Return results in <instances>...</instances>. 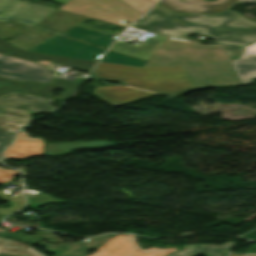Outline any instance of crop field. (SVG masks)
Masks as SVG:
<instances>
[{
    "instance_id": "crop-field-4",
    "label": "crop field",
    "mask_w": 256,
    "mask_h": 256,
    "mask_svg": "<svg viewBox=\"0 0 256 256\" xmlns=\"http://www.w3.org/2000/svg\"><path fill=\"white\" fill-rule=\"evenodd\" d=\"M59 9L122 26L142 16L118 0H72Z\"/></svg>"
},
{
    "instance_id": "crop-field-6",
    "label": "crop field",
    "mask_w": 256,
    "mask_h": 256,
    "mask_svg": "<svg viewBox=\"0 0 256 256\" xmlns=\"http://www.w3.org/2000/svg\"><path fill=\"white\" fill-rule=\"evenodd\" d=\"M0 77L43 83L53 80L46 66L6 55H0Z\"/></svg>"
},
{
    "instance_id": "crop-field-28",
    "label": "crop field",
    "mask_w": 256,
    "mask_h": 256,
    "mask_svg": "<svg viewBox=\"0 0 256 256\" xmlns=\"http://www.w3.org/2000/svg\"><path fill=\"white\" fill-rule=\"evenodd\" d=\"M54 1H57V2H60V3L66 4V3H68V2L71 1V0H54Z\"/></svg>"
},
{
    "instance_id": "crop-field-13",
    "label": "crop field",
    "mask_w": 256,
    "mask_h": 256,
    "mask_svg": "<svg viewBox=\"0 0 256 256\" xmlns=\"http://www.w3.org/2000/svg\"><path fill=\"white\" fill-rule=\"evenodd\" d=\"M256 44L244 47L239 59L233 60V68L242 84L251 83L256 78Z\"/></svg>"
},
{
    "instance_id": "crop-field-26",
    "label": "crop field",
    "mask_w": 256,
    "mask_h": 256,
    "mask_svg": "<svg viewBox=\"0 0 256 256\" xmlns=\"http://www.w3.org/2000/svg\"><path fill=\"white\" fill-rule=\"evenodd\" d=\"M226 52H228L229 58L238 57V54L241 52V48H232V47H224Z\"/></svg>"
},
{
    "instance_id": "crop-field-23",
    "label": "crop field",
    "mask_w": 256,
    "mask_h": 256,
    "mask_svg": "<svg viewBox=\"0 0 256 256\" xmlns=\"http://www.w3.org/2000/svg\"><path fill=\"white\" fill-rule=\"evenodd\" d=\"M121 2L125 3L129 7L133 8L137 12L143 14L146 10H148L151 6H153V3L157 0H151L152 3L147 0H120Z\"/></svg>"
},
{
    "instance_id": "crop-field-8",
    "label": "crop field",
    "mask_w": 256,
    "mask_h": 256,
    "mask_svg": "<svg viewBox=\"0 0 256 256\" xmlns=\"http://www.w3.org/2000/svg\"><path fill=\"white\" fill-rule=\"evenodd\" d=\"M97 250L98 252L91 256H166L170 252L177 251V248L158 249L152 247L142 250L138 249L134 236L118 235Z\"/></svg>"
},
{
    "instance_id": "crop-field-16",
    "label": "crop field",
    "mask_w": 256,
    "mask_h": 256,
    "mask_svg": "<svg viewBox=\"0 0 256 256\" xmlns=\"http://www.w3.org/2000/svg\"><path fill=\"white\" fill-rule=\"evenodd\" d=\"M64 36H68L105 48H107L116 38V36L99 33L76 25H74L69 31H67Z\"/></svg>"
},
{
    "instance_id": "crop-field-25",
    "label": "crop field",
    "mask_w": 256,
    "mask_h": 256,
    "mask_svg": "<svg viewBox=\"0 0 256 256\" xmlns=\"http://www.w3.org/2000/svg\"><path fill=\"white\" fill-rule=\"evenodd\" d=\"M15 174H20V172L0 168V183L10 182Z\"/></svg>"
},
{
    "instance_id": "crop-field-19",
    "label": "crop field",
    "mask_w": 256,
    "mask_h": 256,
    "mask_svg": "<svg viewBox=\"0 0 256 256\" xmlns=\"http://www.w3.org/2000/svg\"><path fill=\"white\" fill-rule=\"evenodd\" d=\"M103 62H110V63H117L123 65H130V66H137L142 67L145 62L133 59L121 54H117L114 52L109 51L101 60Z\"/></svg>"
},
{
    "instance_id": "crop-field-17",
    "label": "crop field",
    "mask_w": 256,
    "mask_h": 256,
    "mask_svg": "<svg viewBox=\"0 0 256 256\" xmlns=\"http://www.w3.org/2000/svg\"><path fill=\"white\" fill-rule=\"evenodd\" d=\"M235 245V242H227L221 246L217 245H188L184 246L182 251L174 252L168 256H192L196 254H205L207 256H222ZM200 246L201 248H196Z\"/></svg>"
},
{
    "instance_id": "crop-field-7",
    "label": "crop field",
    "mask_w": 256,
    "mask_h": 256,
    "mask_svg": "<svg viewBox=\"0 0 256 256\" xmlns=\"http://www.w3.org/2000/svg\"><path fill=\"white\" fill-rule=\"evenodd\" d=\"M56 10L58 9L33 5L18 0H0V20H16L32 26Z\"/></svg>"
},
{
    "instance_id": "crop-field-24",
    "label": "crop field",
    "mask_w": 256,
    "mask_h": 256,
    "mask_svg": "<svg viewBox=\"0 0 256 256\" xmlns=\"http://www.w3.org/2000/svg\"><path fill=\"white\" fill-rule=\"evenodd\" d=\"M13 134L0 131V157L3 149L12 141Z\"/></svg>"
},
{
    "instance_id": "crop-field-10",
    "label": "crop field",
    "mask_w": 256,
    "mask_h": 256,
    "mask_svg": "<svg viewBox=\"0 0 256 256\" xmlns=\"http://www.w3.org/2000/svg\"><path fill=\"white\" fill-rule=\"evenodd\" d=\"M43 140L32 139L22 130L18 133L15 142L9 146L3 159L8 158H30L40 155L42 152Z\"/></svg>"
},
{
    "instance_id": "crop-field-1",
    "label": "crop field",
    "mask_w": 256,
    "mask_h": 256,
    "mask_svg": "<svg viewBox=\"0 0 256 256\" xmlns=\"http://www.w3.org/2000/svg\"><path fill=\"white\" fill-rule=\"evenodd\" d=\"M140 21L141 24L132 27L175 37L202 33L214 37L224 46L242 47L256 41V23L231 11L208 16L172 14L156 6Z\"/></svg>"
},
{
    "instance_id": "crop-field-22",
    "label": "crop field",
    "mask_w": 256,
    "mask_h": 256,
    "mask_svg": "<svg viewBox=\"0 0 256 256\" xmlns=\"http://www.w3.org/2000/svg\"><path fill=\"white\" fill-rule=\"evenodd\" d=\"M0 197L10 200V204H12V207L9 209H0V214H4V215H7L9 213L19 210L20 208H22L23 204L25 203V200L21 195L13 196V197H6L2 193V191H0Z\"/></svg>"
},
{
    "instance_id": "crop-field-15",
    "label": "crop field",
    "mask_w": 256,
    "mask_h": 256,
    "mask_svg": "<svg viewBox=\"0 0 256 256\" xmlns=\"http://www.w3.org/2000/svg\"><path fill=\"white\" fill-rule=\"evenodd\" d=\"M30 112L0 106V130L13 134L17 130L27 125Z\"/></svg>"
},
{
    "instance_id": "crop-field-3",
    "label": "crop field",
    "mask_w": 256,
    "mask_h": 256,
    "mask_svg": "<svg viewBox=\"0 0 256 256\" xmlns=\"http://www.w3.org/2000/svg\"><path fill=\"white\" fill-rule=\"evenodd\" d=\"M224 60H228V56L222 45H202L167 37L144 67L184 66L195 89L240 84L230 64H184L186 61Z\"/></svg>"
},
{
    "instance_id": "crop-field-2",
    "label": "crop field",
    "mask_w": 256,
    "mask_h": 256,
    "mask_svg": "<svg viewBox=\"0 0 256 256\" xmlns=\"http://www.w3.org/2000/svg\"><path fill=\"white\" fill-rule=\"evenodd\" d=\"M93 73L129 85L96 88L94 94L115 106L158 93L176 96L193 89L183 67L137 68L100 62Z\"/></svg>"
},
{
    "instance_id": "crop-field-30",
    "label": "crop field",
    "mask_w": 256,
    "mask_h": 256,
    "mask_svg": "<svg viewBox=\"0 0 256 256\" xmlns=\"http://www.w3.org/2000/svg\"><path fill=\"white\" fill-rule=\"evenodd\" d=\"M230 256H256V255H230Z\"/></svg>"
},
{
    "instance_id": "crop-field-9",
    "label": "crop field",
    "mask_w": 256,
    "mask_h": 256,
    "mask_svg": "<svg viewBox=\"0 0 256 256\" xmlns=\"http://www.w3.org/2000/svg\"><path fill=\"white\" fill-rule=\"evenodd\" d=\"M161 0L158 5L173 13L208 14L220 13L235 5L238 0H218L216 2L206 0Z\"/></svg>"
},
{
    "instance_id": "crop-field-5",
    "label": "crop field",
    "mask_w": 256,
    "mask_h": 256,
    "mask_svg": "<svg viewBox=\"0 0 256 256\" xmlns=\"http://www.w3.org/2000/svg\"><path fill=\"white\" fill-rule=\"evenodd\" d=\"M28 51L98 61L105 50L55 35Z\"/></svg>"
},
{
    "instance_id": "crop-field-29",
    "label": "crop field",
    "mask_w": 256,
    "mask_h": 256,
    "mask_svg": "<svg viewBox=\"0 0 256 256\" xmlns=\"http://www.w3.org/2000/svg\"><path fill=\"white\" fill-rule=\"evenodd\" d=\"M252 1H256V0H239V2H252Z\"/></svg>"
},
{
    "instance_id": "crop-field-11",
    "label": "crop field",
    "mask_w": 256,
    "mask_h": 256,
    "mask_svg": "<svg viewBox=\"0 0 256 256\" xmlns=\"http://www.w3.org/2000/svg\"><path fill=\"white\" fill-rule=\"evenodd\" d=\"M12 96H14L15 98H11ZM34 99H37V100H34ZM50 100L52 99L11 93L3 97H0V105L33 111V112H38V111L50 112L53 110L52 107L47 105V103ZM32 107H36L38 110H35Z\"/></svg>"
},
{
    "instance_id": "crop-field-27",
    "label": "crop field",
    "mask_w": 256,
    "mask_h": 256,
    "mask_svg": "<svg viewBox=\"0 0 256 256\" xmlns=\"http://www.w3.org/2000/svg\"><path fill=\"white\" fill-rule=\"evenodd\" d=\"M186 63H230L229 60L225 62H186Z\"/></svg>"
},
{
    "instance_id": "crop-field-21",
    "label": "crop field",
    "mask_w": 256,
    "mask_h": 256,
    "mask_svg": "<svg viewBox=\"0 0 256 256\" xmlns=\"http://www.w3.org/2000/svg\"><path fill=\"white\" fill-rule=\"evenodd\" d=\"M26 196L29 199L28 205L32 207L31 209H35L43 204L66 202V201H58V200L46 195L45 193H41L38 196H32V195L26 194Z\"/></svg>"
},
{
    "instance_id": "crop-field-31",
    "label": "crop field",
    "mask_w": 256,
    "mask_h": 256,
    "mask_svg": "<svg viewBox=\"0 0 256 256\" xmlns=\"http://www.w3.org/2000/svg\"><path fill=\"white\" fill-rule=\"evenodd\" d=\"M0 256H4V255H0Z\"/></svg>"
},
{
    "instance_id": "crop-field-12",
    "label": "crop field",
    "mask_w": 256,
    "mask_h": 256,
    "mask_svg": "<svg viewBox=\"0 0 256 256\" xmlns=\"http://www.w3.org/2000/svg\"><path fill=\"white\" fill-rule=\"evenodd\" d=\"M165 39L166 37L154 35L137 47L117 41L110 49L147 61Z\"/></svg>"
},
{
    "instance_id": "crop-field-18",
    "label": "crop field",
    "mask_w": 256,
    "mask_h": 256,
    "mask_svg": "<svg viewBox=\"0 0 256 256\" xmlns=\"http://www.w3.org/2000/svg\"><path fill=\"white\" fill-rule=\"evenodd\" d=\"M0 254L13 256H45L25 243L0 237Z\"/></svg>"
},
{
    "instance_id": "crop-field-20",
    "label": "crop field",
    "mask_w": 256,
    "mask_h": 256,
    "mask_svg": "<svg viewBox=\"0 0 256 256\" xmlns=\"http://www.w3.org/2000/svg\"><path fill=\"white\" fill-rule=\"evenodd\" d=\"M30 27L17 24L15 22H0V36L3 38H10L18 33H21Z\"/></svg>"
},
{
    "instance_id": "crop-field-14",
    "label": "crop field",
    "mask_w": 256,
    "mask_h": 256,
    "mask_svg": "<svg viewBox=\"0 0 256 256\" xmlns=\"http://www.w3.org/2000/svg\"><path fill=\"white\" fill-rule=\"evenodd\" d=\"M116 146V143L109 141H86L44 144L42 154L48 156H59L71 153L72 149L102 148Z\"/></svg>"
}]
</instances>
